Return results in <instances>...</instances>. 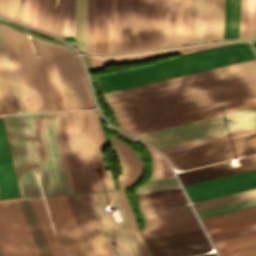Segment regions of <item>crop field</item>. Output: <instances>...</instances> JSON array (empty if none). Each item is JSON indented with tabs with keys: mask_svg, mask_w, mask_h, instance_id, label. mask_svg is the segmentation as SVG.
<instances>
[{
	"mask_svg": "<svg viewBox=\"0 0 256 256\" xmlns=\"http://www.w3.org/2000/svg\"><path fill=\"white\" fill-rule=\"evenodd\" d=\"M255 61L247 48V46ZM236 43L192 53L159 63L100 76L95 75L99 91L114 113L174 100L208 91L256 81V55L248 42Z\"/></svg>",
	"mask_w": 256,
	"mask_h": 256,
	"instance_id": "obj_1",
	"label": "crop field"
},
{
	"mask_svg": "<svg viewBox=\"0 0 256 256\" xmlns=\"http://www.w3.org/2000/svg\"><path fill=\"white\" fill-rule=\"evenodd\" d=\"M256 95V82L115 114L119 126ZM256 126V96L122 126L161 148Z\"/></svg>",
	"mask_w": 256,
	"mask_h": 256,
	"instance_id": "obj_2",
	"label": "crop field"
},
{
	"mask_svg": "<svg viewBox=\"0 0 256 256\" xmlns=\"http://www.w3.org/2000/svg\"><path fill=\"white\" fill-rule=\"evenodd\" d=\"M24 198L75 193L56 112L5 116ZM22 197L6 123L0 116V201Z\"/></svg>",
	"mask_w": 256,
	"mask_h": 256,
	"instance_id": "obj_3",
	"label": "crop field"
},
{
	"mask_svg": "<svg viewBox=\"0 0 256 256\" xmlns=\"http://www.w3.org/2000/svg\"><path fill=\"white\" fill-rule=\"evenodd\" d=\"M243 166L233 168L231 163L213 165L195 170L178 173L182 184L202 179L216 177L224 174L238 172L256 167V156L240 159ZM191 202L251 189L256 187V168L224 175L216 178L202 180L183 185Z\"/></svg>",
	"mask_w": 256,
	"mask_h": 256,
	"instance_id": "obj_4",
	"label": "crop field"
},
{
	"mask_svg": "<svg viewBox=\"0 0 256 256\" xmlns=\"http://www.w3.org/2000/svg\"><path fill=\"white\" fill-rule=\"evenodd\" d=\"M54 230L60 236H52V229L41 198L30 199L48 243L52 256H90L68 199L66 196L44 198Z\"/></svg>",
	"mask_w": 256,
	"mask_h": 256,
	"instance_id": "obj_5",
	"label": "crop field"
},
{
	"mask_svg": "<svg viewBox=\"0 0 256 256\" xmlns=\"http://www.w3.org/2000/svg\"><path fill=\"white\" fill-rule=\"evenodd\" d=\"M2 27L29 111L55 110L40 65L35 64L28 36L5 24Z\"/></svg>",
	"mask_w": 256,
	"mask_h": 256,
	"instance_id": "obj_6",
	"label": "crop field"
},
{
	"mask_svg": "<svg viewBox=\"0 0 256 256\" xmlns=\"http://www.w3.org/2000/svg\"><path fill=\"white\" fill-rule=\"evenodd\" d=\"M153 0H117L115 52L152 47Z\"/></svg>",
	"mask_w": 256,
	"mask_h": 256,
	"instance_id": "obj_7",
	"label": "crop field"
},
{
	"mask_svg": "<svg viewBox=\"0 0 256 256\" xmlns=\"http://www.w3.org/2000/svg\"><path fill=\"white\" fill-rule=\"evenodd\" d=\"M92 208L102 230L103 236L111 253V256H130L121 231L117 223H113L107 208L119 207L124 222L119 223L132 256H142L133 230L127 218L126 212L120 200L117 190L103 191L87 194Z\"/></svg>",
	"mask_w": 256,
	"mask_h": 256,
	"instance_id": "obj_8",
	"label": "crop field"
},
{
	"mask_svg": "<svg viewBox=\"0 0 256 256\" xmlns=\"http://www.w3.org/2000/svg\"><path fill=\"white\" fill-rule=\"evenodd\" d=\"M256 153V134L167 153L173 167L190 169Z\"/></svg>",
	"mask_w": 256,
	"mask_h": 256,
	"instance_id": "obj_9",
	"label": "crop field"
},
{
	"mask_svg": "<svg viewBox=\"0 0 256 256\" xmlns=\"http://www.w3.org/2000/svg\"><path fill=\"white\" fill-rule=\"evenodd\" d=\"M76 193L95 191L77 111L57 112Z\"/></svg>",
	"mask_w": 256,
	"mask_h": 256,
	"instance_id": "obj_10",
	"label": "crop field"
},
{
	"mask_svg": "<svg viewBox=\"0 0 256 256\" xmlns=\"http://www.w3.org/2000/svg\"><path fill=\"white\" fill-rule=\"evenodd\" d=\"M0 250L3 256H39L17 200L0 202Z\"/></svg>",
	"mask_w": 256,
	"mask_h": 256,
	"instance_id": "obj_11",
	"label": "crop field"
},
{
	"mask_svg": "<svg viewBox=\"0 0 256 256\" xmlns=\"http://www.w3.org/2000/svg\"><path fill=\"white\" fill-rule=\"evenodd\" d=\"M96 191L114 189L106 171L100 146H107L104 132L94 111H78Z\"/></svg>",
	"mask_w": 256,
	"mask_h": 256,
	"instance_id": "obj_12",
	"label": "crop field"
},
{
	"mask_svg": "<svg viewBox=\"0 0 256 256\" xmlns=\"http://www.w3.org/2000/svg\"><path fill=\"white\" fill-rule=\"evenodd\" d=\"M50 45L72 109L93 107L78 58L63 47Z\"/></svg>",
	"mask_w": 256,
	"mask_h": 256,
	"instance_id": "obj_13",
	"label": "crop field"
},
{
	"mask_svg": "<svg viewBox=\"0 0 256 256\" xmlns=\"http://www.w3.org/2000/svg\"><path fill=\"white\" fill-rule=\"evenodd\" d=\"M144 240L151 256H188L211 248L203 230Z\"/></svg>",
	"mask_w": 256,
	"mask_h": 256,
	"instance_id": "obj_14",
	"label": "crop field"
},
{
	"mask_svg": "<svg viewBox=\"0 0 256 256\" xmlns=\"http://www.w3.org/2000/svg\"><path fill=\"white\" fill-rule=\"evenodd\" d=\"M67 197L91 256H110L87 195Z\"/></svg>",
	"mask_w": 256,
	"mask_h": 256,
	"instance_id": "obj_15",
	"label": "crop field"
},
{
	"mask_svg": "<svg viewBox=\"0 0 256 256\" xmlns=\"http://www.w3.org/2000/svg\"><path fill=\"white\" fill-rule=\"evenodd\" d=\"M199 218L256 205V189L192 203Z\"/></svg>",
	"mask_w": 256,
	"mask_h": 256,
	"instance_id": "obj_16",
	"label": "crop field"
},
{
	"mask_svg": "<svg viewBox=\"0 0 256 256\" xmlns=\"http://www.w3.org/2000/svg\"><path fill=\"white\" fill-rule=\"evenodd\" d=\"M192 0H170L168 45L190 42Z\"/></svg>",
	"mask_w": 256,
	"mask_h": 256,
	"instance_id": "obj_17",
	"label": "crop field"
},
{
	"mask_svg": "<svg viewBox=\"0 0 256 256\" xmlns=\"http://www.w3.org/2000/svg\"><path fill=\"white\" fill-rule=\"evenodd\" d=\"M228 44H232V43H210V44H204V45L144 52V53H137V54H130V55L105 57V58H94L90 56V58H91L93 70L96 71V70H100L105 67H108L110 65L141 61V60L156 58V57H160V56H164L172 53H179L181 55H184V54L206 50V49L228 45Z\"/></svg>",
	"mask_w": 256,
	"mask_h": 256,
	"instance_id": "obj_18",
	"label": "crop field"
},
{
	"mask_svg": "<svg viewBox=\"0 0 256 256\" xmlns=\"http://www.w3.org/2000/svg\"><path fill=\"white\" fill-rule=\"evenodd\" d=\"M201 221L206 230L220 227L221 231L256 224V206L203 218Z\"/></svg>",
	"mask_w": 256,
	"mask_h": 256,
	"instance_id": "obj_19",
	"label": "crop field"
},
{
	"mask_svg": "<svg viewBox=\"0 0 256 256\" xmlns=\"http://www.w3.org/2000/svg\"><path fill=\"white\" fill-rule=\"evenodd\" d=\"M113 138V137H112ZM117 158L121 164L125 188L132 185L142 175L143 166L140 158L124 142L113 138Z\"/></svg>",
	"mask_w": 256,
	"mask_h": 256,
	"instance_id": "obj_20",
	"label": "crop field"
},
{
	"mask_svg": "<svg viewBox=\"0 0 256 256\" xmlns=\"http://www.w3.org/2000/svg\"><path fill=\"white\" fill-rule=\"evenodd\" d=\"M51 3L56 0H38L37 28L62 37L63 0H59V9H50Z\"/></svg>",
	"mask_w": 256,
	"mask_h": 256,
	"instance_id": "obj_21",
	"label": "crop field"
},
{
	"mask_svg": "<svg viewBox=\"0 0 256 256\" xmlns=\"http://www.w3.org/2000/svg\"><path fill=\"white\" fill-rule=\"evenodd\" d=\"M220 256H256V233L214 243Z\"/></svg>",
	"mask_w": 256,
	"mask_h": 256,
	"instance_id": "obj_22",
	"label": "crop field"
},
{
	"mask_svg": "<svg viewBox=\"0 0 256 256\" xmlns=\"http://www.w3.org/2000/svg\"><path fill=\"white\" fill-rule=\"evenodd\" d=\"M0 54L4 63V67L13 91V95L18 108L25 107L26 111H28L24 95L14 68V64L5 40V36L0 24Z\"/></svg>",
	"mask_w": 256,
	"mask_h": 256,
	"instance_id": "obj_23",
	"label": "crop field"
},
{
	"mask_svg": "<svg viewBox=\"0 0 256 256\" xmlns=\"http://www.w3.org/2000/svg\"><path fill=\"white\" fill-rule=\"evenodd\" d=\"M225 0H207L206 40L223 39Z\"/></svg>",
	"mask_w": 256,
	"mask_h": 256,
	"instance_id": "obj_24",
	"label": "crop field"
},
{
	"mask_svg": "<svg viewBox=\"0 0 256 256\" xmlns=\"http://www.w3.org/2000/svg\"><path fill=\"white\" fill-rule=\"evenodd\" d=\"M18 201L20 203L40 256H51L30 200L23 199Z\"/></svg>",
	"mask_w": 256,
	"mask_h": 256,
	"instance_id": "obj_25",
	"label": "crop field"
},
{
	"mask_svg": "<svg viewBox=\"0 0 256 256\" xmlns=\"http://www.w3.org/2000/svg\"><path fill=\"white\" fill-rule=\"evenodd\" d=\"M62 110L71 109L49 44L40 42Z\"/></svg>",
	"mask_w": 256,
	"mask_h": 256,
	"instance_id": "obj_26",
	"label": "crop field"
},
{
	"mask_svg": "<svg viewBox=\"0 0 256 256\" xmlns=\"http://www.w3.org/2000/svg\"><path fill=\"white\" fill-rule=\"evenodd\" d=\"M141 210L187 203L183 192L138 199Z\"/></svg>",
	"mask_w": 256,
	"mask_h": 256,
	"instance_id": "obj_27",
	"label": "crop field"
},
{
	"mask_svg": "<svg viewBox=\"0 0 256 256\" xmlns=\"http://www.w3.org/2000/svg\"><path fill=\"white\" fill-rule=\"evenodd\" d=\"M240 0H226L224 38L238 37Z\"/></svg>",
	"mask_w": 256,
	"mask_h": 256,
	"instance_id": "obj_28",
	"label": "crop field"
},
{
	"mask_svg": "<svg viewBox=\"0 0 256 256\" xmlns=\"http://www.w3.org/2000/svg\"><path fill=\"white\" fill-rule=\"evenodd\" d=\"M251 133H256V127L244 129V130H240V131H236V132H231V133H227V134H222V135H218V136H214V137H209V138H205V139H200V140H196V141H192V142H187V143H183V144H178V145H174V146H170V147H165V148H161L160 150H162L164 153H167V152L185 149V148H189V147H193V146H198V145L216 142V141H220V140H225V139H229V138H233V137L247 135V134H251Z\"/></svg>",
	"mask_w": 256,
	"mask_h": 256,
	"instance_id": "obj_29",
	"label": "crop field"
},
{
	"mask_svg": "<svg viewBox=\"0 0 256 256\" xmlns=\"http://www.w3.org/2000/svg\"><path fill=\"white\" fill-rule=\"evenodd\" d=\"M96 0H87L85 50L94 53Z\"/></svg>",
	"mask_w": 256,
	"mask_h": 256,
	"instance_id": "obj_30",
	"label": "crop field"
},
{
	"mask_svg": "<svg viewBox=\"0 0 256 256\" xmlns=\"http://www.w3.org/2000/svg\"><path fill=\"white\" fill-rule=\"evenodd\" d=\"M145 220L193 212L190 205H176L141 211Z\"/></svg>",
	"mask_w": 256,
	"mask_h": 256,
	"instance_id": "obj_31",
	"label": "crop field"
},
{
	"mask_svg": "<svg viewBox=\"0 0 256 256\" xmlns=\"http://www.w3.org/2000/svg\"><path fill=\"white\" fill-rule=\"evenodd\" d=\"M199 229H201V227L198 224V222H194V223L181 224L177 226L147 229V230H142L141 232L143 237L147 238V237L180 233V232L193 231V230H199Z\"/></svg>",
	"mask_w": 256,
	"mask_h": 256,
	"instance_id": "obj_32",
	"label": "crop field"
},
{
	"mask_svg": "<svg viewBox=\"0 0 256 256\" xmlns=\"http://www.w3.org/2000/svg\"><path fill=\"white\" fill-rule=\"evenodd\" d=\"M86 0H76L75 39L84 49Z\"/></svg>",
	"mask_w": 256,
	"mask_h": 256,
	"instance_id": "obj_33",
	"label": "crop field"
},
{
	"mask_svg": "<svg viewBox=\"0 0 256 256\" xmlns=\"http://www.w3.org/2000/svg\"><path fill=\"white\" fill-rule=\"evenodd\" d=\"M75 0H64L63 37L74 39Z\"/></svg>",
	"mask_w": 256,
	"mask_h": 256,
	"instance_id": "obj_34",
	"label": "crop field"
},
{
	"mask_svg": "<svg viewBox=\"0 0 256 256\" xmlns=\"http://www.w3.org/2000/svg\"><path fill=\"white\" fill-rule=\"evenodd\" d=\"M145 146V145H144ZM152 158V165H153V172L150 180L165 178L167 176L173 175L170 169L168 168L164 158L160 156L157 152L153 149L145 146ZM149 180V181H150Z\"/></svg>",
	"mask_w": 256,
	"mask_h": 256,
	"instance_id": "obj_35",
	"label": "crop field"
},
{
	"mask_svg": "<svg viewBox=\"0 0 256 256\" xmlns=\"http://www.w3.org/2000/svg\"><path fill=\"white\" fill-rule=\"evenodd\" d=\"M193 221H198V220H197L196 216L194 215V213H190V214H184V215H178V216H172V217H166V218L145 221L144 229L178 224V223L193 222Z\"/></svg>",
	"mask_w": 256,
	"mask_h": 256,
	"instance_id": "obj_36",
	"label": "crop field"
},
{
	"mask_svg": "<svg viewBox=\"0 0 256 256\" xmlns=\"http://www.w3.org/2000/svg\"><path fill=\"white\" fill-rule=\"evenodd\" d=\"M169 0H160L158 46L167 45Z\"/></svg>",
	"mask_w": 256,
	"mask_h": 256,
	"instance_id": "obj_37",
	"label": "crop field"
},
{
	"mask_svg": "<svg viewBox=\"0 0 256 256\" xmlns=\"http://www.w3.org/2000/svg\"><path fill=\"white\" fill-rule=\"evenodd\" d=\"M206 0H197L195 42L205 40Z\"/></svg>",
	"mask_w": 256,
	"mask_h": 256,
	"instance_id": "obj_38",
	"label": "crop field"
},
{
	"mask_svg": "<svg viewBox=\"0 0 256 256\" xmlns=\"http://www.w3.org/2000/svg\"><path fill=\"white\" fill-rule=\"evenodd\" d=\"M28 0H10V19L27 24Z\"/></svg>",
	"mask_w": 256,
	"mask_h": 256,
	"instance_id": "obj_39",
	"label": "crop field"
},
{
	"mask_svg": "<svg viewBox=\"0 0 256 256\" xmlns=\"http://www.w3.org/2000/svg\"><path fill=\"white\" fill-rule=\"evenodd\" d=\"M118 192H119L120 197H121V199H122L123 205H124V207H125V210H126V212H127L128 217H129L130 223H131L132 228H133V230H134V233H135V235H136V238H137V241H138L139 246H140V248H141V251H142V253H143V256H149V254H148V252H147V249H146V247H145V245H144V242H143V240H142V237H141V235H140V233H139V231H138V229H137V227H136V223H135V220H134V218H133V215H132V212H131V210H130V207H129V205H128V202H127V200H126L125 194H124L123 190H120V191H118Z\"/></svg>",
	"mask_w": 256,
	"mask_h": 256,
	"instance_id": "obj_40",
	"label": "crop field"
},
{
	"mask_svg": "<svg viewBox=\"0 0 256 256\" xmlns=\"http://www.w3.org/2000/svg\"><path fill=\"white\" fill-rule=\"evenodd\" d=\"M33 42L35 44L38 56H39L40 61H41V64L45 65V68H46V71H43V72H44V75H45V78H46V81H47V84H48V87H49V91H50V94H51V97H52L55 109L56 110H61L60 106H59V103H58V100H57V97H56V94H55V91H54V88H53V85H52V82H51V79H50V75H49V72H48V69H47V66H46V63H45V60H44V57H43L40 45H39V42L36 39H33ZM45 68H44V66H42L43 70H45Z\"/></svg>",
	"mask_w": 256,
	"mask_h": 256,
	"instance_id": "obj_41",
	"label": "crop field"
},
{
	"mask_svg": "<svg viewBox=\"0 0 256 256\" xmlns=\"http://www.w3.org/2000/svg\"><path fill=\"white\" fill-rule=\"evenodd\" d=\"M103 0H97L95 53L101 54Z\"/></svg>",
	"mask_w": 256,
	"mask_h": 256,
	"instance_id": "obj_42",
	"label": "crop field"
},
{
	"mask_svg": "<svg viewBox=\"0 0 256 256\" xmlns=\"http://www.w3.org/2000/svg\"><path fill=\"white\" fill-rule=\"evenodd\" d=\"M110 0H104L102 54L108 53Z\"/></svg>",
	"mask_w": 256,
	"mask_h": 256,
	"instance_id": "obj_43",
	"label": "crop field"
},
{
	"mask_svg": "<svg viewBox=\"0 0 256 256\" xmlns=\"http://www.w3.org/2000/svg\"><path fill=\"white\" fill-rule=\"evenodd\" d=\"M253 232H256V225L241 228V229H236L228 232H223L215 235H210V238L212 242H215V241L228 239V238H232L240 235H245Z\"/></svg>",
	"mask_w": 256,
	"mask_h": 256,
	"instance_id": "obj_44",
	"label": "crop field"
},
{
	"mask_svg": "<svg viewBox=\"0 0 256 256\" xmlns=\"http://www.w3.org/2000/svg\"><path fill=\"white\" fill-rule=\"evenodd\" d=\"M248 1L249 0H241V3H240L239 38H247Z\"/></svg>",
	"mask_w": 256,
	"mask_h": 256,
	"instance_id": "obj_45",
	"label": "crop field"
},
{
	"mask_svg": "<svg viewBox=\"0 0 256 256\" xmlns=\"http://www.w3.org/2000/svg\"><path fill=\"white\" fill-rule=\"evenodd\" d=\"M256 37V0L249 2L248 38Z\"/></svg>",
	"mask_w": 256,
	"mask_h": 256,
	"instance_id": "obj_46",
	"label": "crop field"
},
{
	"mask_svg": "<svg viewBox=\"0 0 256 256\" xmlns=\"http://www.w3.org/2000/svg\"><path fill=\"white\" fill-rule=\"evenodd\" d=\"M178 185L179 184H178L177 180L162 182V183H156V184H150V185H144V186H141V187L137 188L135 190V193L157 190V189L170 188V187H176Z\"/></svg>",
	"mask_w": 256,
	"mask_h": 256,
	"instance_id": "obj_47",
	"label": "crop field"
},
{
	"mask_svg": "<svg viewBox=\"0 0 256 256\" xmlns=\"http://www.w3.org/2000/svg\"><path fill=\"white\" fill-rule=\"evenodd\" d=\"M0 75H1L4 87H5L9 102H10L11 109L17 108L14 98H13V95H12V92H11V89H10V86H9V83H8V80H7V77H6V74H5V71H4V68H3V65H2V62H1V59H0Z\"/></svg>",
	"mask_w": 256,
	"mask_h": 256,
	"instance_id": "obj_48",
	"label": "crop field"
},
{
	"mask_svg": "<svg viewBox=\"0 0 256 256\" xmlns=\"http://www.w3.org/2000/svg\"><path fill=\"white\" fill-rule=\"evenodd\" d=\"M37 0L28 2V24L36 27Z\"/></svg>",
	"mask_w": 256,
	"mask_h": 256,
	"instance_id": "obj_49",
	"label": "crop field"
},
{
	"mask_svg": "<svg viewBox=\"0 0 256 256\" xmlns=\"http://www.w3.org/2000/svg\"><path fill=\"white\" fill-rule=\"evenodd\" d=\"M159 0H154L153 47H157Z\"/></svg>",
	"mask_w": 256,
	"mask_h": 256,
	"instance_id": "obj_50",
	"label": "crop field"
},
{
	"mask_svg": "<svg viewBox=\"0 0 256 256\" xmlns=\"http://www.w3.org/2000/svg\"><path fill=\"white\" fill-rule=\"evenodd\" d=\"M0 102H1L4 112H7V114L12 113L9 103H8V100H7V97H6V94H5V91H4V88H3V85H2V82H1V79H0Z\"/></svg>",
	"mask_w": 256,
	"mask_h": 256,
	"instance_id": "obj_51",
	"label": "crop field"
},
{
	"mask_svg": "<svg viewBox=\"0 0 256 256\" xmlns=\"http://www.w3.org/2000/svg\"><path fill=\"white\" fill-rule=\"evenodd\" d=\"M179 191H182L181 188H177V189L171 188V189H165V190H160V191H154V192H148V193H143V194H137L136 197L137 198H141V197L154 196V195L173 193V192H179Z\"/></svg>",
	"mask_w": 256,
	"mask_h": 256,
	"instance_id": "obj_52",
	"label": "crop field"
},
{
	"mask_svg": "<svg viewBox=\"0 0 256 256\" xmlns=\"http://www.w3.org/2000/svg\"><path fill=\"white\" fill-rule=\"evenodd\" d=\"M8 6H9V0H0V15L1 16L8 18Z\"/></svg>",
	"mask_w": 256,
	"mask_h": 256,
	"instance_id": "obj_53",
	"label": "crop field"
},
{
	"mask_svg": "<svg viewBox=\"0 0 256 256\" xmlns=\"http://www.w3.org/2000/svg\"><path fill=\"white\" fill-rule=\"evenodd\" d=\"M196 0H193L191 42H194Z\"/></svg>",
	"mask_w": 256,
	"mask_h": 256,
	"instance_id": "obj_54",
	"label": "crop field"
},
{
	"mask_svg": "<svg viewBox=\"0 0 256 256\" xmlns=\"http://www.w3.org/2000/svg\"><path fill=\"white\" fill-rule=\"evenodd\" d=\"M112 17H113V0H111V18H110V42H109V53H111V41H112Z\"/></svg>",
	"mask_w": 256,
	"mask_h": 256,
	"instance_id": "obj_55",
	"label": "crop field"
},
{
	"mask_svg": "<svg viewBox=\"0 0 256 256\" xmlns=\"http://www.w3.org/2000/svg\"><path fill=\"white\" fill-rule=\"evenodd\" d=\"M115 17H116V0H114V18H113V42H112V53L114 52V41H115Z\"/></svg>",
	"mask_w": 256,
	"mask_h": 256,
	"instance_id": "obj_56",
	"label": "crop field"
},
{
	"mask_svg": "<svg viewBox=\"0 0 256 256\" xmlns=\"http://www.w3.org/2000/svg\"><path fill=\"white\" fill-rule=\"evenodd\" d=\"M118 182H119V187H120V189L124 188V187H123V183H122L121 175H118Z\"/></svg>",
	"mask_w": 256,
	"mask_h": 256,
	"instance_id": "obj_57",
	"label": "crop field"
},
{
	"mask_svg": "<svg viewBox=\"0 0 256 256\" xmlns=\"http://www.w3.org/2000/svg\"><path fill=\"white\" fill-rule=\"evenodd\" d=\"M201 256H215V254H206V255H201Z\"/></svg>",
	"mask_w": 256,
	"mask_h": 256,
	"instance_id": "obj_58",
	"label": "crop field"
},
{
	"mask_svg": "<svg viewBox=\"0 0 256 256\" xmlns=\"http://www.w3.org/2000/svg\"><path fill=\"white\" fill-rule=\"evenodd\" d=\"M0 114H3V113H2V110H1V107H0Z\"/></svg>",
	"mask_w": 256,
	"mask_h": 256,
	"instance_id": "obj_59",
	"label": "crop field"
}]
</instances>
